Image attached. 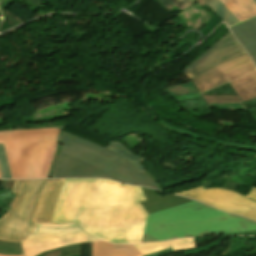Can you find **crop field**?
Listing matches in <instances>:
<instances>
[{"label": "crop field", "instance_id": "28", "mask_svg": "<svg viewBox=\"0 0 256 256\" xmlns=\"http://www.w3.org/2000/svg\"><path fill=\"white\" fill-rule=\"evenodd\" d=\"M255 1V3H256V0H254Z\"/></svg>", "mask_w": 256, "mask_h": 256}, {"label": "crop field", "instance_id": "24", "mask_svg": "<svg viewBox=\"0 0 256 256\" xmlns=\"http://www.w3.org/2000/svg\"><path fill=\"white\" fill-rule=\"evenodd\" d=\"M41 256H61L58 249L48 251L46 253L41 254Z\"/></svg>", "mask_w": 256, "mask_h": 256}, {"label": "crop field", "instance_id": "20", "mask_svg": "<svg viewBox=\"0 0 256 256\" xmlns=\"http://www.w3.org/2000/svg\"><path fill=\"white\" fill-rule=\"evenodd\" d=\"M0 172L2 179H11L3 144H0Z\"/></svg>", "mask_w": 256, "mask_h": 256}, {"label": "crop field", "instance_id": "15", "mask_svg": "<svg viewBox=\"0 0 256 256\" xmlns=\"http://www.w3.org/2000/svg\"><path fill=\"white\" fill-rule=\"evenodd\" d=\"M159 121H160V123H161L164 127L168 128V129H170V130H173V131H175V132H178V133H181V134H184V135L193 137V138H197V139H201V140H205V141H209V142H213V143H217V144L229 145V146L240 147V148H245V149H249V150H254V151H256V146L246 145V144H238V143H232V142H227V141H221V140L211 139V138H208V137H205V136H202V135H199V134L190 132V131H188V130L179 128V127H177V126H174V125L169 124V123H167V122H164V121H162V120H159Z\"/></svg>", "mask_w": 256, "mask_h": 256}, {"label": "crop field", "instance_id": "12", "mask_svg": "<svg viewBox=\"0 0 256 256\" xmlns=\"http://www.w3.org/2000/svg\"><path fill=\"white\" fill-rule=\"evenodd\" d=\"M90 256H140L132 245H114L104 241L90 242Z\"/></svg>", "mask_w": 256, "mask_h": 256}, {"label": "crop field", "instance_id": "17", "mask_svg": "<svg viewBox=\"0 0 256 256\" xmlns=\"http://www.w3.org/2000/svg\"><path fill=\"white\" fill-rule=\"evenodd\" d=\"M208 5L224 20L227 26L239 21L219 0Z\"/></svg>", "mask_w": 256, "mask_h": 256}, {"label": "crop field", "instance_id": "25", "mask_svg": "<svg viewBox=\"0 0 256 256\" xmlns=\"http://www.w3.org/2000/svg\"><path fill=\"white\" fill-rule=\"evenodd\" d=\"M247 197L256 201V188H252L251 191L248 193Z\"/></svg>", "mask_w": 256, "mask_h": 256}, {"label": "crop field", "instance_id": "4", "mask_svg": "<svg viewBox=\"0 0 256 256\" xmlns=\"http://www.w3.org/2000/svg\"><path fill=\"white\" fill-rule=\"evenodd\" d=\"M63 127L0 131L12 179L48 178Z\"/></svg>", "mask_w": 256, "mask_h": 256}, {"label": "crop field", "instance_id": "16", "mask_svg": "<svg viewBox=\"0 0 256 256\" xmlns=\"http://www.w3.org/2000/svg\"><path fill=\"white\" fill-rule=\"evenodd\" d=\"M106 148L120 154L125 159H127L129 162H131L133 165L137 167L139 172L145 170V168L141 165L140 162L144 161V159L132 154L126 147H124L122 144L113 141L110 145H108Z\"/></svg>", "mask_w": 256, "mask_h": 256}, {"label": "crop field", "instance_id": "26", "mask_svg": "<svg viewBox=\"0 0 256 256\" xmlns=\"http://www.w3.org/2000/svg\"><path fill=\"white\" fill-rule=\"evenodd\" d=\"M212 0H198V2L203 6L205 4H207L208 2H210Z\"/></svg>", "mask_w": 256, "mask_h": 256}, {"label": "crop field", "instance_id": "2", "mask_svg": "<svg viewBox=\"0 0 256 256\" xmlns=\"http://www.w3.org/2000/svg\"><path fill=\"white\" fill-rule=\"evenodd\" d=\"M61 142L65 145L58 158L54 178H108L160 189L147 170L139 173L131 163L102 146L64 132Z\"/></svg>", "mask_w": 256, "mask_h": 256}, {"label": "crop field", "instance_id": "7", "mask_svg": "<svg viewBox=\"0 0 256 256\" xmlns=\"http://www.w3.org/2000/svg\"><path fill=\"white\" fill-rule=\"evenodd\" d=\"M244 55L246 52L229 33L186 68L184 72L191 78Z\"/></svg>", "mask_w": 256, "mask_h": 256}, {"label": "crop field", "instance_id": "23", "mask_svg": "<svg viewBox=\"0 0 256 256\" xmlns=\"http://www.w3.org/2000/svg\"><path fill=\"white\" fill-rule=\"evenodd\" d=\"M82 244L61 248L60 251L63 256H75L81 254Z\"/></svg>", "mask_w": 256, "mask_h": 256}, {"label": "crop field", "instance_id": "29", "mask_svg": "<svg viewBox=\"0 0 256 256\" xmlns=\"http://www.w3.org/2000/svg\"><path fill=\"white\" fill-rule=\"evenodd\" d=\"M0 179H1V177H0Z\"/></svg>", "mask_w": 256, "mask_h": 256}, {"label": "crop field", "instance_id": "27", "mask_svg": "<svg viewBox=\"0 0 256 256\" xmlns=\"http://www.w3.org/2000/svg\"><path fill=\"white\" fill-rule=\"evenodd\" d=\"M0 256H10V255H1V254H0ZM19 256H23V255H19Z\"/></svg>", "mask_w": 256, "mask_h": 256}, {"label": "crop field", "instance_id": "3", "mask_svg": "<svg viewBox=\"0 0 256 256\" xmlns=\"http://www.w3.org/2000/svg\"><path fill=\"white\" fill-rule=\"evenodd\" d=\"M65 180H15L12 193L16 196L0 218V239L21 242L36 231L37 222L51 223Z\"/></svg>", "mask_w": 256, "mask_h": 256}, {"label": "crop field", "instance_id": "11", "mask_svg": "<svg viewBox=\"0 0 256 256\" xmlns=\"http://www.w3.org/2000/svg\"><path fill=\"white\" fill-rule=\"evenodd\" d=\"M142 190L147 201H143L141 204L148 214L192 201L172 195L159 197L154 190L144 188Z\"/></svg>", "mask_w": 256, "mask_h": 256}, {"label": "crop field", "instance_id": "10", "mask_svg": "<svg viewBox=\"0 0 256 256\" xmlns=\"http://www.w3.org/2000/svg\"><path fill=\"white\" fill-rule=\"evenodd\" d=\"M230 30L256 64V18L234 25Z\"/></svg>", "mask_w": 256, "mask_h": 256}, {"label": "crop field", "instance_id": "18", "mask_svg": "<svg viewBox=\"0 0 256 256\" xmlns=\"http://www.w3.org/2000/svg\"><path fill=\"white\" fill-rule=\"evenodd\" d=\"M162 6H164L169 11L173 10L174 5L176 8L183 10L190 5L196 3V0H157Z\"/></svg>", "mask_w": 256, "mask_h": 256}, {"label": "crop field", "instance_id": "9", "mask_svg": "<svg viewBox=\"0 0 256 256\" xmlns=\"http://www.w3.org/2000/svg\"><path fill=\"white\" fill-rule=\"evenodd\" d=\"M238 95H205L207 103H244L256 98V71L231 82Z\"/></svg>", "mask_w": 256, "mask_h": 256}, {"label": "crop field", "instance_id": "1", "mask_svg": "<svg viewBox=\"0 0 256 256\" xmlns=\"http://www.w3.org/2000/svg\"><path fill=\"white\" fill-rule=\"evenodd\" d=\"M140 187L106 179H67L52 223H75L88 234L127 244L256 230V222L192 201L147 215Z\"/></svg>", "mask_w": 256, "mask_h": 256}, {"label": "crop field", "instance_id": "8", "mask_svg": "<svg viewBox=\"0 0 256 256\" xmlns=\"http://www.w3.org/2000/svg\"><path fill=\"white\" fill-rule=\"evenodd\" d=\"M256 70L249 56L238 58L190 80L199 93Z\"/></svg>", "mask_w": 256, "mask_h": 256}, {"label": "crop field", "instance_id": "21", "mask_svg": "<svg viewBox=\"0 0 256 256\" xmlns=\"http://www.w3.org/2000/svg\"><path fill=\"white\" fill-rule=\"evenodd\" d=\"M0 251L9 253H20L21 245L20 243H12L0 240Z\"/></svg>", "mask_w": 256, "mask_h": 256}, {"label": "crop field", "instance_id": "14", "mask_svg": "<svg viewBox=\"0 0 256 256\" xmlns=\"http://www.w3.org/2000/svg\"><path fill=\"white\" fill-rule=\"evenodd\" d=\"M240 21L256 16L253 0H220Z\"/></svg>", "mask_w": 256, "mask_h": 256}, {"label": "crop field", "instance_id": "19", "mask_svg": "<svg viewBox=\"0 0 256 256\" xmlns=\"http://www.w3.org/2000/svg\"><path fill=\"white\" fill-rule=\"evenodd\" d=\"M161 89L163 91H165L168 95L196 91L191 82L178 84V85H174V86H169V87H165V88H161Z\"/></svg>", "mask_w": 256, "mask_h": 256}, {"label": "crop field", "instance_id": "22", "mask_svg": "<svg viewBox=\"0 0 256 256\" xmlns=\"http://www.w3.org/2000/svg\"><path fill=\"white\" fill-rule=\"evenodd\" d=\"M210 108L249 111L244 104H208Z\"/></svg>", "mask_w": 256, "mask_h": 256}, {"label": "crop field", "instance_id": "5", "mask_svg": "<svg viewBox=\"0 0 256 256\" xmlns=\"http://www.w3.org/2000/svg\"><path fill=\"white\" fill-rule=\"evenodd\" d=\"M98 240L75 224L38 223L37 231L21 242L25 256H36L64 245Z\"/></svg>", "mask_w": 256, "mask_h": 256}, {"label": "crop field", "instance_id": "13", "mask_svg": "<svg viewBox=\"0 0 256 256\" xmlns=\"http://www.w3.org/2000/svg\"><path fill=\"white\" fill-rule=\"evenodd\" d=\"M142 255L151 254L161 249L172 248L173 251L195 248L193 239H181L148 244H134Z\"/></svg>", "mask_w": 256, "mask_h": 256}, {"label": "crop field", "instance_id": "6", "mask_svg": "<svg viewBox=\"0 0 256 256\" xmlns=\"http://www.w3.org/2000/svg\"><path fill=\"white\" fill-rule=\"evenodd\" d=\"M178 195L197 199L221 211L239 214L256 221V202L238 193L224 189L205 190L201 187Z\"/></svg>", "mask_w": 256, "mask_h": 256}]
</instances>
